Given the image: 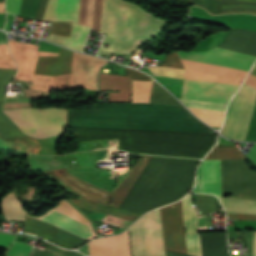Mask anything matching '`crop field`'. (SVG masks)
<instances>
[{
	"label": "crop field",
	"instance_id": "crop-field-3",
	"mask_svg": "<svg viewBox=\"0 0 256 256\" xmlns=\"http://www.w3.org/2000/svg\"><path fill=\"white\" fill-rule=\"evenodd\" d=\"M256 55V32L233 30L218 46ZM215 48L205 52L177 51L179 58L249 70L256 56ZM181 60V59H180ZM184 78L241 84L248 71L181 60ZM184 79L181 98L228 103L239 85Z\"/></svg>",
	"mask_w": 256,
	"mask_h": 256
},
{
	"label": "crop field",
	"instance_id": "crop-field-34",
	"mask_svg": "<svg viewBox=\"0 0 256 256\" xmlns=\"http://www.w3.org/2000/svg\"><path fill=\"white\" fill-rule=\"evenodd\" d=\"M245 141L256 142V103L254 106L253 114L251 117L249 129H248Z\"/></svg>",
	"mask_w": 256,
	"mask_h": 256
},
{
	"label": "crop field",
	"instance_id": "crop-field-14",
	"mask_svg": "<svg viewBox=\"0 0 256 256\" xmlns=\"http://www.w3.org/2000/svg\"><path fill=\"white\" fill-rule=\"evenodd\" d=\"M71 62L72 52L61 48L59 56L38 57L35 73L52 76L68 74Z\"/></svg>",
	"mask_w": 256,
	"mask_h": 256
},
{
	"label": "crop field",
	"instance_id": "crop-field-25",
	"mask_svg": "<svg viewBox=\"0 0 256 256\" xmlns=\"http://www.w3.org/2000/svg\"><path fill=\"white\" fill-rule=\"evenodd\" d=\"M188 109L210 126L220 127L224 118V112L192 108Z\"/></svg>",
	"mask_w": 256,
	"mask_h": 256
},
{
	"label": "crop field",
	"instance_id": "crop-field-19",
	"mask_svg": "<svg viewBox=\"0 0 256 256\" xmlns=\"http://www.w3.org/2000/svg\"><path fill=\"white\" fill-rule=\"evenodd\" d=\"M0 56L11 57L8 52L7 44L0 45ZM0 57V68L2 69H16V65L12 58ZM0 69V100L4 99L5 83H9L14 76L16 70H2Z\"/></svg>",
	"mask_w": 256,
	"mask_h": 256
},
{
	"label": "crop field",
	"instance_id": "crop-field-37",
	"mask_svg": "<svg viewBox=\"0 0 256 256\" xmlns=\"http://www.w3.org/2000/svg\"><path fill=\"white\" fill-rule=\"evenodd\" d=\"M21 0H6L7 12L17 14L19 13Z\"/></svg>",
	"mask_w": 256,
	"mask_h": 256
},
{
	"label": "crop field",
	"instance_id": "crop-field-44",
	"mask_svg": "<svg viewBox=\"0 0 256 256\" xmlns=\"http://www.w3.org/2000/svg\"><path fill=\"white\" fill-rule=\"evenodd\" d=\"M254 256H256V232H255V239H254Z\"/></svg>",
	"mask_w": 256,
	"mask_h": 256
},
{
	"label": "crop field",
	"instance_id": "crop-field-38",
	"mask_svg": "<svg viewBox=\"0 0 256 256\" xmlns=\"http://www.w3.org/2000/svg\"><path fill=\"white\" fill-rule=\"evenodd\" d=\"M229 218L234 219H250V220H256V214H238V213H229Z\"/></svg>",
	"mask_w": 256,
	"mask_h": 256
},
{
	"label": "crop field",
	"instance_id": "crop-field-27",
	"mask_svg": "<svg viewBox=\"0 0 256 256\" xmlns=\"http://www.w3.org/2000/svg\"><path fill=\"white\" fill-rule=\"evenodd\" d=\"M150 103L155 104H170V105H180L171 94L165 91L161 86L156 82H153L152 94Z\"/></svg>",
	"mask_w": 256,
	"mask_h": 256
},
{
	"label": "crop field",
	"instance_id": "crop-field-12",
	"mask_svg": "<svg viewBox=\"0 0 256 256\" xmlns=\"http://www.w3.org/2000/svg\"><path fill=\"white\" fill-rule=\"evenodd\" d=\"M193 192L222 195L220 160H204L197 169V184Z\"/></svg>",
	"mask_w": 256,
	"mask_h": 256
},
{
	"label": "crop field",
	"instance_id": "crop-field-32",
	"mask_svg": "<svg viewBox=\"0 0 256 256\" xmlns=\"http://www.w3.org/2000/svg\"><path fill=\"white\" fill-rule=\"evenodd\" d=\"M72 23L53 22L50 34L70 37Z\"/></svg>",
	"mask_w": 256,
	"mask_h": 256
},
{
	"label": "crop field",
	"instance_id": "crop-field-23",
	"mask_svg": "<svg viewBox=\"0 0 256 256\" xmlns=\"http://www.w3.org/2000/svg\"><path fill=\"white\" fill-rule=\"evenodd\" d=\"M244 155L236 147L216 146L205 159H244Z\"/></svg>",
	"mask_w": 256,
	"mask_h": 256
},
{
	"label": "crop field",
	"instance_id": "crop-field-31",
	"mask_svg": "<svg viewBox=\"0 0 256 256\" xmlns=\"http://www.w3.org/2000/svg\"><path fill=\"white\" fill-rule=\"evenodd\" d=\"M154 75L166 76V77H175L183 79L185 70L166 68V67H154L149 68Z\"/></svg>",
	"mask_w": 256,
	"mask_h": 256
},
{
	"label": "crop field",
	"instance_id": "crop-field-30",
	"mask_svg": "<svg viewBox=\"0 0 256 256\" xmlns=\"http://www.w3.org/2000/svg\"><path fill=\"white\" fill-rule=\"evenodd\" d=\"M187 107L225 111L226 104L180 99Z\"/></svg>",
	"mask_w": 256,
	"mask_h": 256
},
{
	"label": "crop field",
	"instance_id": "crop-field-13",
	"mask_svg": "<svg viewBox=\"0 0 256 256\" xmlns=\"http://www.w3.org/2000/svg\"><path fill=\"white\" fill-rule=\"evenodd\" d=\"M89 256H130L127 230L117 236L88 243Z\"/></svg>",
	"mask_w": 256,
	"mask_h": 256
},
{
	"label": "crop field",
	"instance_id": "crop-field-7",
	"mask_svg": "<svg viewBox=\"0 0 256 256\" xmlns=\"http://www.w3.org/2000/svg\"><path fill=\"white\" fill-rule=\"evenodd\" d=\"M221 172L223 195L256 200V172L245 160H221ZM233 198H219L226 212L256 213V201Z\"/></svg>",
	"mask_w": 256,
	"mask_h": 256
},
{
	"label": "crop field",
	"instance_id": "crop-field-41",
	"mask_svg": "<svg viewBox=\"0 0 256 256\" xmlns=\"http://www.w3.org/2000/svg\"><path fill=\"white\" fill-rule=\"evenodd\" d=\"M54 253L35 250L32 256H53Z\"/></svg>",
	"mask_w": 256,
	"mask_h": 256
},
{
	"label": "crop field",
	"instance_id": "crop-field-1",
	"mask_svg": "<svg viewBox=\"0 0 256 256\" xmlns=\"http://www.w3.org/2000/svg\"><path fill=\"white\" fill-rule=\"evenodd\" d=\"M67 124L141 131L216 135L184 107L154 104H94L68 110ZM68 125L77 143L119 139V149L135 153L203 158L216 136L164 134Z\"/></svg>",
	"mask_w": 256,
	"mask_h": 256
},
{
	"label": "crop field",
	"instance_id": "crop-field-17",
	"mask_svg": "<svg viewBox=\"0 0 256 256\" xmlns=\"http://www.w3.org/2000/svg\"><path fill=\"white\" fill-rule=\"evenodd\" d=\"M61 0H49L43 20L60 21ZM79 0H63L61 21L78 23Z\"/></svg>",
	"mask_w": 256,
	"mask_h": 256
},
{
	"label": "crop field",
	"instance_id": "crop-field-15",
	"mask_svg": "<svg viewBox=\"0 0 256 256\" xmlns=\"http://www.w3.org/2000/svg\"><path fill=\"white\" fill-rule=\"evenodd\" d=\"M99 90H115L109 93L110 102H130L132 83L129 77L101 73Z\"/></svg>",
	"mask_w": 256,
	"mask_h": 256
},
{
	"label": "crop field",
	"instance_id": "crop-field-24",
	"mask_svg": "<svg viewBox=\"0 0 256 256\" xmlns=\"http://www.w3.org/2000/svg\"><path fill=\"white\" fill-rule=\"evenodd\" d=\"M133 82L132 103H149L152 82Z\"/></svg>",
	"mask_w": 256,
	"mask_h": 256
},
{
	"label": "crop field",
	"instance_id": "crop-field-4",
	"mask_svg": "<svg viewBox=\"0 0 256 256\" xmlns=\"http://www.w3.org/2000/svg\"><path fill=\"white\" fill-rule=\"evenodd\" d=\"M166 249L186 253L181 201L159 209ZM159 211L145 214L129 227L132 256H165ZM202 256H229L226 234L200 235ZM166 250V256H190Z\"/></svg>",
	"mask_w": 256,
	"mask_h": 256
},
{
	"label": "crop field",
	"instance_id": "crop-field-2",
	"mask_svg": "<svg viewBox=\"0 0 256 256\" xmlns=\"http://www.w3.org/2000/svg\"><path fill=\"white\" fill-rule=\"evenodd\" d=\"M152 158L153 156L142 155L132 172L113 193L69 174L66 168L46 173L87 201L118 208L123 196L143 174ZM175 160L176 158L154 157L144 174L124 196L118 209L140 215L165 179ZM200 161L177 158L168 176L142 214L186 195L192 187L194 169Z\"/></svg>",
	"mask_w": 256,
	"mask_h": 256
},
{
	"label": "crop field",
	"instance_id": "crop-field-16",
	"mask_svg": "<svg viewBox=\"0 0 256 256\" xmlns=\"http://www.w3.org/2000/svg\"><path fill=\"white\" fill-rule=\"evenodd\" d=\"M183 210L185 218L186 242L188 254L201 256L200 241L198 234V222L190 201V194L183 200Z\"/></svg>",
	"mask_w": 256,
	"mask_h": 256
},
{
	"label": "crop field",
	"instance_id": "crop-field-36",
	"mask_svg": "<svg viewBox=\"0 0 256 256\" xmlns=\"http://www.w3.org/2000/svg\"><path fill=\"white\" fill-rule=\"evenodd\" d=\"M126 71L127 74L131 80H140V81H154L152 80L150 77H148L147 75L140 73V72H136L134 70H131L129 68L126 67Z\"/></svg>",
	"mask_w": 256,
	"mask_h": 256
},
{
	"label": "crop field",
	"instance_id": "crop-field-8",
	"mask_svg": "<svg viewBox=\"0 0 256 256\" xmlns=\"http://www.w3.org/2000/svg\"><path fill=\"white\" fill-rule=\"evenodd\" d=\"M21 131L35 139L63 134L66 125L64 108L2 110Z\"/></svg>",
	"mask_w": 256,
	"mask_h": 256
},
{
	"label": "crop field",
	"instance_id": "crop-field-5",
	"mask_svg": "<svg viewBox=\"0 0 256 256\" xmlns=\"http://www.w3.org/2000/svg\"><path fill=\"white\" fill-rule=\"evenodd\" d=\"M1 206L4 218L24 221L25 211L22 210L14 192L3 199ZM38 218L54 222L88 240L96 237L90 222L65 200H60L59 205ZM38 218L28 216L26 212L23 232L40 236L65 248H74L87 242L51 222Z\"/></svg>",
	"mask_w": 256,
	"mask_h": 256
},
{
	"label": "crop field",
	"instance_id": "crop-field-18",
	"mask_svg": "<svg viewBox=\"0 0 256 256\" xmlns=\"http://www.w3.org/2000/svg\"><path fill=\"white\" fill-rule=\"evenodd\" d=\"M89 28L73 23L71 38L49 35L46 40L52 41L60 46L82 52L85 37Z\"/></svg>",
	"mask_w": 256,
	"mask_h": 256
},
{
	"label": "crop field",
	"instance_id": "crop-field-20",
	"mask_svg": "<svg viewBox=\"0 0 256 256\" xmlns=\"http://www.w3.org/2000/svg\"><path fill=\"white\" fill-rule=\"evenodd\" d=\"M197 6V0H191ZM220 12L224 13H249L256 14V0H219Z\"/></svg>",
	"mask_w": 256,
	"mask_h": 256
},
{
	"label": "crop field",
	"instance_id": "crop-field-29",
	"mask_svg": "<svg viewBox=\"0 0 256 256\" xmlns=\"http://www.w3.org/2000/svg\"><path fill=\"white\" fill-rule=\"evenodd\" d=\"M40 0H22L20 16L34 19Z\"/></svg>",
	"mask_w": 256,
	"mask_h": 256
},
{
	"label": "crop field",
	"instance_id": "crop-field-39",
	"mask_svg": "<svg viewBox=\"0 0 256 256\" xmlns=\"http://www.w3.org/2000/svg\"><path fill=\"white\" fill-rule=\"evenodd\" d=\"M15 236L0 233V245L9 246ZM13 242V241H12Z\"/></svg>",
	"mask_w": 256,
	"mask_h": 256
},
{
	"label": "crop field",
	"instance_id": "crop-field-35",
	"mask_svg": "<svg viewBox=\"0 0 256 256\" xmlns=\"http://www.w3.org/2000/svg\"><path fill=\"white\" fill-rule=\"evenodd\" d=\"M162 65L183 69L176 52H173L170 55H168L166 61Z\"/></svg>",
	"mask_w": 256,
	"mask_h": 256
},
{
	"label": "crop field",
	"instance_id": "crop-field-28",
	"mask_svg": "<svg viewBox=\"0 0 256 256\" xmlns=\"http://www.w3.org/2000/svg\"><path fill=\"white\" fill-rule=\"evenodd\" d=\"M3 102H0V106ZM0 134L3 138L24 136L13 122L5 117L0 111Z\"/></svg>",
	"mask_w": 256,
	"mask_h": 256
},
{
	"label": "crop field",
	"instance_id": "crop-field-9",
	"mask_svg": "<svg viewBox=\"0 0 256 256\" xmlns=\"http://www.w3.org/2000/svg\"><path fill=\"white\" fill-rule=\"evenodd\" d=\"M255 99L256 89L243 84L228 105L226 120L220 133L233 140L244 141Z\"/></svg>",
	"mask_w": 256,
	"mask_h": 256
},
{
	"label": "crop field",
	"instance_id": "crop-field-10",
	"mask_svg": "<svg viewBox=\"0 0 256 256\" xmlns=\"http://www.w3.org/2000/svg\"><path fill=\"white\" fill-rule=\"evenodd\" d=\"M105 63L107 61L73 52L71 74L54 77L53 89L84 86L97 90L98 73Z\"/></svg>",
	"mask_w": 256,
	"mask_h": 256
},
{
	"label": "crop field",
	"instance_id": "crop-field-26",
	"mask_svg": "<svg viewBox=\"0 0 256 256\" xmlns=\"http://www.w3.org/2000/svg\"><path fill=\"white\" fill-rule=\"evenodd\" d=\"M94 1L95 0H88V6H87L86 25L91 27V28H92V24H93ZM102 2H103V0H96L95 1V12H94L93 29L98 31V32H99V28H100Z\"/></svg>",
	"mask_w": 256,
	"mask_h": 256
},
{
	"label": "crop field",
	"instance_id": "crop-field-43",
	"mask_svg": "<svg viewBox=\"0 0 256 256\" xmlns=\"http://www.w3.org/2000/svg\"><path fill=\"white\" fill-rule=\"evenodd\" d=\"M48 249L53 250V251H55V252H57V253H58L59 250H60L59 248L54 247V246H52V245H50V244H49V246H48Z\"/></svg>",
	"mask_w": 256,
	"mask_h": 256
},
{
	"label": "crop field",
	"instance_id": "crop-field-11",
	"mask_svg": "<svg viewBox=\"0 0 256 256\" xmlns=\"http://www.w3.org/2000/svg\"><path fill=\"white\" fill-rule=\"evenodd\" d=\"M11 54L18 65L16 78L34 80L33 89L50 92L52 77L34 74L37 56L58 55L37 51L39 46L28 45L9 40ZM15 78V77H14Z\"/></svg>",
	"mask_w": 256,
	"mask_h": 256
},
{
	"label": "crop field",
	"instance_id": "crop-field-21",
	"mask_svg": "<svg viewBox=\"0 0 256 256\" xmlns=\"http://www.w3.org/2000/svg\"><path fill=\"white\" fill-rule=\"evenodd\" d=\"M72 202L80 209L114 216V217H117V218H120L123 220H127V221H131V222H133L138 217H140V216H137V215L125 212V211L117 210L115 208H108V207L99 206L96 204L87 203L81 199L72 200Z\"/></svg>",
	"mask_w": 256,
	"mask_h": 256
},
{
	"label": "crop field",
	"instance_id": "crop-field-45",
	"mask_svg": "<svg viewBox=\"0 0 256 256\" xmlns=\"http://www.w3.org/2000/svg\"><path fill=\"white\" fill-rule=\"evenodd\" d=\"M0 13H4V3H0Z\"/></svg>",
	"mask_w": 256,
	"mask_h": 256
},
{
	"label": "crop field",
	"instance_id": "crop-field-33",
	"mask_svg": "<svg viewBox=\"0 0 256 256\" xmlns=\"http://www.w3.org/2000/svg\"><path fill=\"white\" fill-rule=\"evenodd\" d=\"M31 246H27L20 243H14L12 247L8 250L6 255L8 256H27Z\"/></svg>",
	"mask_w": 256,
	"mask_h": 256
},
{
	"label": "crop field",
	"instance_id": "crop-field-42",
	"mask_svg": "<svg viewBox=\"0 0 256 256\" xmlns=\"http://www.w3.org/2000/svg\"><path fill=\"white\" fill-rule=\"evenodd\" d=\"M7 43L6 34L4 32H0V44Z\"/></svg>",
	"mask_w": 256,
	"mask_h": 256
},
{
	"label": "crop field",
	"instance_id": "crop-field-40",
	"mask_svg": "<svg viewBox=\"0 0 256 256\" xmlns=\"http://www.w3.org/2000/svg\"><path fill=\"white\" fill-rule=\"evenodd\" d=\"M249 159L254 166L256 167V144H254V146L252 147V149L249 151L246 159Z\"/></svg>",
	"mask_w": 256,
	"mask_h": 256
},
{
	"label": "crop field",
	"instance_id": "crop-field-6",
	"mask_svg": "<svg viewBox=\"0 0 256 256\" xmlns=\"http://www.w3.org/2000/svg\"><path fill=\"white\" fill-rule=\"evenodd\" d=\"M163 23L133 4L104 0L100 32L106 34L103 42L111 45L108 49L101 47L98 54H130L143 41L157 34Z\"/></svg>",
	"mask_w": 256,
	"mask_h": 256
},
{
	"label": "crop field",
	"instance_id": "crop-field-22",
	"mask_svg": "<svg viewBox=\"0 0 256 256\" xmlns=\"http://www.w3.org/2000/svg\"><path fill=\"white\" fill-rule=\"evenodd\" d=\"M0 144L2 147L17 148L18 150H25L35 153H37V151L40 149V144L31 137L3 139L0 135Z\"/></svg>",
	"mask_w": 256,
	"mask_h": 256
}]
</instances>
